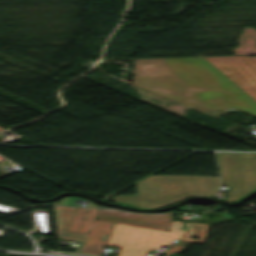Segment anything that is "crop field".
<instances>
[{"instance_id":"1","label":"crop field","mask_w":256,"mask_h":256,"mask_svg":"<svg viewBox=\"0 0 256 256\" xmlns=\"http://www.w3.org/2000/svg\"><path fill=\"white\" fill-rule=\"evenodd\" d=\"M137 195L110 198L117 204L150 209L171 205L187 196H210L218 189L217 176L151 175L136 183Z\"/></svg>"},{"instance_id":"2","label":"crop field","mask_w":256,"mask_h":256,"mask_svg":"<svg viewBox=\"0 0 256 256\" xmlns=\"http://www.w3.org/2000/svg\"><path fill=\"white\" fill-rule=\"evenodd\" d=\"M133 84L198 111L229 107L219 97L199 101L162 59L134 60Z\"/></svg>"},{"instance_id":"3","label":"crop field","mask_w":256,"mask_h":256,"mask_svg":"<svg viewBox=\"0 0 256 256\" xmlns=\"http://www.w3.org/2000/svg\"><path fill=\"white\" fill-rule=\"evenodd\" d=\"M163 60L199 100L219 96L229 106L252 100L203 57Z\"/></svg>"},{"instance_id":"4","label":"crop field","mask_w":256,"mask_h":256,"mask_svg":"<svg viewBox=\"0 0 256 256\" xmlns=\"http://www.w3.org/2000/svg\"><path fill=\"white\" fill-rule=\"evenodd\" d=\"M106 245L121 247L117 256H145L147 250L178 240L186 228L181 222H172L170 232L114 223Z\"/></svg>"},{"instance_id":"5","label":"crop field","mask_w":256,"mask_h":256,"mask_svg":"<svg viewBox=\"0 0 256 256\" xmlns=\"http://www.w3.org/2000/svg\"><path fill=\"white\" fill-rule=\"evenodd\" d=\"M222 184L229 187L225 202L232 203L256 189V154L217 152Z\"/></svg>"},{"instance_id":"6","label":"crop field","mask_w":256,"mask_h":256,"mask_svg":"<svg viewBox=\"0 0 256 256\" xmlns=\"http://www.w3.org/2000/svg\"><path fill=\"white\" fill-rule=\"evenodd\" d=\"M97 210L54 206L58 237L99 241L112 223L94 220Z\"/></svg>"},{"instance_id":"7","label":"crop field","mask_w":256,"mask_h":256,"mask_svg":"<svg viewBox=\"0 0 256 256\" xmlns=\"http://www.w3.org/2000/svg\"><path fill=\"white\" fill-rule=\"evenodd\" d=\"M256 101V57H204Z\"/></svg>"},{"instance_id":"8","label":"crop field","mask_w":256,"mask_h":256,"mask_svg":"<svg viewBox=\"0 0 256 256\" xmlns=\"http://www.w3.org/2000/svg\"><path fill=\"white\" fill-rule=\"evenodd\" d=\"M172 218L173 216L166 214H135L115 209H99L95 219L169 231Z\"/></svg>"},{"instance_id":"9","label":"crop field","mask_w":256,"mask_h":256,"mask_svg":"<svg viewBox=\"0 0 256 256\" xmlns=\"http://www.w3.org/2000/svg\"><path fill=\"white\" fill-rule=\"evenodd\" d=\"M185 224L188 225L189 232L177 244H175L170 250L167 251V255H169L171 252L181 253L187 248L185 246L190 244L191 242L202 244L207 234L209 225L197 223ZM190 236L197 237L200 240L191 239Z\"/></svg>"},{"instance_id":"10","label":"crop field","mask_w":256,"mask_h":256,"mask_svg":"<svg viewBox=\"0 0 256 256\" xmlns=\"http://www.w3.org/2000/svg\"><path fill=\"white\" fill-rule=\"evenodd\" d=\"M63 239H66V238H63ZM68 240H75V239H68ZM76 241L82 242L81 247L75 251L79 253L100 255L105 245V243H102V242H93V241H84V240H76Z\"/></svg>"},{"instance_id":"11","label":"crop field","mask_w":256,"mask_h":256,"mask_svg":"<svg viewBox=\"0 0 256 256\" xmlns=\"http://www.w3.org/2000/svg\"><path fill=\"white\" fill-rule=\"evenodd\" d=\"M256 116V102L254 100L231 106Z\"/></svg>"},{"instance_id":"12","label":"crop field","mask_w":256,"mask_h":256,"mask_svg":"<svg viewBox=\"0 0 256 256\" xmlns=\"http://www.w3.org/2000/svg\"><path fill=\"white\" fill-rule=\"evenodd\" d=\"M167 214H173L174 213V211H172V212H166Z\"/></svg>"},{"instance_id":"13","label":"crop field","mask_w":256,"mask_h":256,"mask_svg":"<svg viewBox=\"0 0 256 256\" xmlns=\"http://www.w3.org/2000/svg\"><path fill=\"white\" fill-rule=\"evenodd\" d=\"M100 207H106V206L100 205Z\"/></svg>"},{"instance_id":"14","label":"crop field","mask_w":256,"mask_h":256,"mask_svg":"<svg viewBox=\"0 0 256 256\" xmlns=\"http://www.w3.org/2000/svg\"><path fill=\"white\" fill-rule=\"evenodd\" d=\"M0 130H3L2 128H0Z\"/></svg>"}]
</instances>
